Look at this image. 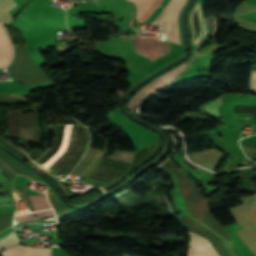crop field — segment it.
I'll return each mask as SVG.
<instances>
[{
	"label": "crop field",
	"instance_id": "obj_5",
	"mask_svg": "<svg viewBox=\"0 0 256 256\" xmlns=\"http://www.w3.org/2000/svg\"><path fill=\"white\" fill-rule=\"evenodd\" d=\"M138 10H137V20L144 21L147 19L152 12L155 10V8L158 6V4L161 2V0H132Z\"/></svg>",
	"mask_w": 256,
	"mask_h": 256
},
{
	"label": "crop field",
	"instance_id": "obj_7",
	"mask_svg": "<svg viewBox=\"0 0 256 256\" xmlns=\"http://www.w3.org/2000/svg\"><path fill=\"white\" fill-rule=\"evenodd\" d=\"M7 11L10 10L12 7H14L16 3L14 0H2ZM2 1L0 0V21L5 22L6 24L10 22L12 19L8 12L6 11Z\"/></svg>",
	"mask_w": 256,
	"mask_h": 256
},
{
	"label": "crop field",
	"instance_id": "obj_12",
	"mask_svg": "<svg viewBox=\"0 0 256 256\" xmlns=\"http://www.w3.org/2000/svg\"><path fill=\"white\" fill-rule=\"evenodd\" d=\"M234 113H251L256 122V107L253 106H235Z\"/></svg>",
	"mask_w": 256,
	"mask_h": 256
},
{
	"label": "crop field",
	"instance_id": "obj_1",
	"mask_svg": "<svg viewBox=\"0 0 256 256\" xmlns=\"http://www.w3.org/2000/svg\"><path fill=\"white\" fill-rule=\"evenodd\" d=\"M186 0H172L167 9L161 15L156 23L162 29H166V40L180 44V36L178 30V15L185 5Z\"/></svg>",
	"mask_w": 256,
	"mask_h": 256
},
{
	"label": "crop field",
	"instance_id": "obj_13",
	"mask_svg": "<svg viewBox=\"0 0 256 256\" xmlns=\"http://www.w3.org/2000/svg\"><path fill=\"white\" fill-rule=\"evenodd\" d=\"M250 88L256 91V71H252Z\"/></svg>",
	"mask_w": 256,
	"mask_h": 256
},
{
	"label": "crop field",
	"instance_id": "obj_6",
	"mask_svg": "<svg viewBox=\"0 0 256 256\" xmlns=\"http://www.w3.org/2000/svg\"><path fill=\"white\" fill-rule=\"evenodd\" d=\"M11 57V47L9 40L0 25V67L5 68Z\"/></svg>",
	"mask_w": 256,
	"mask_h": 256
},
{
	"label": "crop field",
	"instance_id": "obj_2",
	"mask_svg": "<svg viewBox=\"0 0 256 256\" xmlns=\"http://www.w3.org/2000/svg\"><path fill=\"white\" fill-rule=\"evenodd\" d=\"M191 235L189 256H217L208 242L198 236Z\"/></svg>",
	"mask_w": 256,
	"mask_h": 256
},
{
	"label": "crop field",
	"instance_id": "obj_4",
	"mask_svg": "<svg viewBox=\"0 0 256 256\" xmlns=\"http://www.w3.org/2000/svg\"><path fill=\"white\" fill-rule=\"evenodd\" d=\"M185 65L186 64H183V65L171 70L170 72L164 74L163 76L159 77L155 81H153L150 84H148L147 86H145L143 89L148 91L151 94H154L159 89H161L164 85H166L168 82H170L184 68Z\"/></svg>",
	"mask_w": 256,
	"mask_h": 256
},
{
	"label": "crop field",
	"instance_id": "obj_14",
	"mask_svg": "<svg viewBox=\"0 0 256 256\" xmlns=\"http://www.w3.org/2000/svg\"><path fill=\"white\" fill-rule=\"evenodd\" d=\"M245 203L250 204V205L256 207V196H254L251 199L247 200Z\"/></svg>",
	"mask_w": 256,
	"mask_h": 256
},
{
	"label": "crop field",
	"instance_id": "obj_3",
	"mask_svg": "<svg viewBox=\"0 0 256 256\" xmlns=\"http://www.w3.org/2000/svg\"><path fill=\"white\" fill-rule=\"evenodd\" d=\"M50 248H29L21 245L3 251L2 256H49Z\"/></svg>",
	"mask_w": 256,
	"mask_h": 256
},
{
	"label": "crop field",
	"instance_id": "obj_15",
	"mask_svg": "<svg viewBox=\"0 0 256 256\" xmlns=\"http://www.w3.org/2000/svg\"><path fill=\"white\" fill-rule=\"evenodd\" d=\"M247 146H251V147H255L256 148V146H253V145H249V144H246Z\"/></svg>",
	"mask_w": 256,
	"mask_h": 256
},
{
	"label": "crop field",
	"instance_id": "obj_9",
	"mask_svg": "<svg viewBox=\"0 0 256 256\" xmlns=\"http://www.w3.org/2000/svg\"><path fill=\"white\" fill-rule=\"evenodd\" d=\"M151 95L147 94L146 92L140 90L137 92L132 100L129 102V108L134 111V109L140 105L141 103L145 102Z\"/></svg>",
	"mask_w": 256,
	"mask_h": 256
},
{
	"label": "crop field",
	"instance_id": "obj_11",
	"mask_svg": "<svg viewBox=\"0 0 256 256\" xmlns=\"http://www.w3.org/2000/svg\"><path fill=\"white\" fill-rule=\"evenodd\" d=\"M18 243H21V242L14 233L11 236H9V237L0 241V252L3 249L8 248V247L13 246V245H16Z\"/></svg>",
	"mask_w": 256,
	"mask_h": 256
},
{
	"label": "crop field",
	"instance_id": "obj_10",
	"mask_svg": "<svg viewBox=\"0 0 256 256\" xmlns=\"http://www.w3.org/2000/svg\"><path fill=\"white\" fill-rule=\"evenodd\" d=\"M36 215H38V217L54 216L53 210H50V211H44V212H39V213H30V214H26V215L17 216V217H15V220H16V222L20 223V222L27 221L30 219H35L34 216H36Z\"/></svg>",
	"mask_w": 256,
	"mask_h": 256
},
{
	"label": "crop field",
	"instance_id": "obj_8",
	"mask_svg": "<svg viewBox=\"0 0 256 256\" xmlns=\"http://www.w3.org/2000/svg\"><path fill=\"white\" fill-rule=\"evenodd\" d=\"M29 197H30L36 211L51 208L49 206L48 201L44 194L43 195H33V196H29Z\"/></svg>",
	"mask_w": 256,
	"mask_h": 256
}]
</instances>
